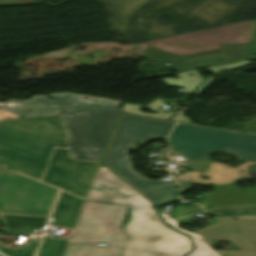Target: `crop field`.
<instances>
[{
  "label": "crop field",
  "mask_w": 256,
  "mask_h": 256,
  "mask_svg": "<svg viewBox=\"0 0 256 256\" xmlns=\"http://www.w3.org/2000/svg\"><path fill=\"white\" fill-rule=\"evenodd\" d=\"M87 200L136 207L123 227L130 240L122 256H183L191 249L186 236L160 223L148 200L103 166Z\"/></svg>",
  "instance_id": "1"
},
{
  "label": "crop field",
  "mask_w": 256,
  "mask_h": 256,
  "mask_svg": "<svg viewBox=\"0 0 256 256\" xmlns=\"http://www.w3.org/2000/svg\"><path fill=\"white\" fill-rule=\"evenodd\" d=\"M170 144L173 145L170 153L185 159L177 165L193 168L188 174L173 175L182 189L190 188L192 182L209 184L242 178L238 169L206 158L213 151L231 150L240 159L256 162V135L253 134L177 123L170 135ZM201 174L210 179H202Z\"/></svg>",
  "instance_id": "2"
},
{
  "label": "crop field",
  "mask_w": 256,
  "mask_h": 256,
  "mask_svg": "<svg viewBox=\"0 0 256 256\" xmlns=\"http://www.w3.org/2000/svg\"><path fill=\"white\" fill-rule=\"evenodd\" d=\"M54 146L66 148L62 116L0 122V164L41 181Z\"/></svg>",
  "instance_id": "3"
},
{
  "label": "crop field",
  "mask_w": 256,
  "mask_h": 256,
  "mask_svg": "<svg viewBox=\"0 0 256 256\" xmlns=\"http://www.w3.org/2000/svg\"><path fill=\"white\" fill-rule=\"evenodd\" d=\"M173 125L174 122L170 121L123 114L104 159L110 169L153 200L157 206L176 201L180 190H176V183L148 180L134 171L126 151L149 138L167 136Z\"/></svg>",
  "instance_id": "4"
},
{
  "label": "crop field",
  "mask_w": 256,
  "mask_h": 256,
  "mask_svg": "<svg viewBox=\"0 0 256 256\" xmlns=\"http://www.w3.org/2000/svg\"><path fill=\"white\" fill-rule=\"evenodd\" d=\"M127 207L86 201L70 243L106 241V246L70 245L67 256H120L126 235L119 229Z\"/></svg>",
  "instance_id": "5"
},
{
  "label": "crop field",
  "mask_w": 256,
  "mask_h": 256,
  "mask_svg": "<svg viewBox=\"0 0 256 256\" xmlns=\"http://www.w3.org/2000/svg\"><path fill=\"white\" fill-rule=\"evenodd\" d=\"M119 107L65 115L72 158L100 161Z\"/></svg>",
  "instance_id": "6"
},
{
  "label": "crop field",
  "mask_w": 256,
  "mask_h": 256,
  "mask_svg": "<svg viewBox=\"0 0 256 256\" xmlns=\"http://www.w3.org/2000/svg\"><path fill=\"white\" fill-rule=\"evenodd\" d=\"M57 191L0 167V213L49 217Z\"/></svg>",
  "instance_id": "7"
},
{
  "label": "crop field",
  "mask_w": 256,
  "mask_h": 256,
  "mask_svg": "<svg viewBox=\"0 0 256 256\" xmlns=\"http://www.w3.org/2000/svg\"><path fill=\"white\" fill-rule=\"evenodd\" d=\"M255 21L153 41L148 44L178 55L237 44H250Z\"/></svg>",
  "instance_id": "8"
},
{
  "label": "crop field",
  "mask_w": 256,
  "mask_h": 256,
  "mask_svg": "<svg viewBox=\"0 0 256 256\" xmlns=\"http://www.w3.org/2000/svg\"><path fill=\"white\" fill-rule=\"evenodd\" d=\"M99 166L70 159L68 150L55 147L42 181L86 199Z\"/></svg>",
  "instance_id": "9"
},
{
  "label": "crop field",
  "mask_w": 256,
  "mask_h": 256,
  "mask_svg": "<svg viewBox=\"0 0 256 256\" xmlns=\"http://www.w3.org/2000/svg\"><path fill=\"white\" fill-rule=\"evenodd\" d=\"M194 233L201 235L209 245L228 240L243 249L242 252L217 251L222 256H256V218L221 220L214 226Z\"/></svg>",
  "instance_id": "10"
},
{
  "label": "crop field",
  "mask_w": 256,
  "mask_h": 256,
  "mask_svg": "<svg viewBox=\"0 0 256 256\" xmlns=\"http://www.w3.org/2000/svg\"><path fill=\"white\" fill-rule=\"evenodd\" d=\"M249 45H237L221 49H213L183 56L174 55L152 47L146 48L145 57L156 62L165 64L177 71H186L215 64L245 59ZM190 64V67L186 65Z\"/></svg>",
  "instance_id": "11"
},
{
  "label": "crop field",
  "mask_w": 256,
  "mask_h": 256,
  "mask_svg": "<svg viewBox=\"0 0 256 256\" xmlns=\"http://www.w3.org/2000/svg\"><path fill=\"white\" fill-rule=\"evenodd\" d=\"M59 104L64 112L83 111L97 108L113 107L121 104L120 101L105 98L74 94L70 92L49 94ZM87 97V100H82ZM99 107H93L94 105Z\"/></svg>",
  "instance_id": "12"
},
{
  "label": "crop field",
  "mask_w": 256,
  "mask_h": 256,
  "mask_svg": "<svg viewBox=\"0 0 256 256\" xmlns=\"http://www.w3.org/2000/svg\"><path fill=\"white\" fill-rule=\"evenodd\" d=\"M7 105L9 107L7 111L16 113L22 117L60 112L59 107L51 99L43 95L33 96L30 100L26 101H7ZM28 109L33 112L26 111Z\"/></svg>",
  "instance_id": "13"
},
{
  "label": "crop field",
  "mask_w": 256,
  "mask_h": 256,
  "mask_svg": "<svg viewBox=\"0 0 256 256\" xmlns=\"http://www.w3.org/2000/svg\"><path fill=\"white\" fill-rule=\"evenodd\" d=\"M161 215L163 218H165V223L174 226L177 230H180L193 238L196 249L188 256H220L214 249L209 247V245L202 240L201 236L179 228L177 226L178 222L172 219L167 213L162 212Z\"/></svg>",
  "instance_id": "14"
},
{
  "label": "crop field",
  "mask_w": 256,
  "mask_h": 256,
  "mask_svg": "<svg viewBox=\"0 0 256 256\" xmlns=\"http://www.w3.org/2000/svg\"><path fill=\"white\" fill-rule=\"evenodd\" d=\"M187 73L193 74V78ZM179 79L165 78L162 81L167 86H182L187 93L194 89L204 79L197 70L177 74ZM193 91V90H192ZM188 95V94H187Z\"/></svg>",
  "instance_id": "15"
},
{
  "label": "crop field",
  "mask_w": 256,
  "mask_h": 256,
  "mask_svg": "<svg viewBox=\"0 0 256 256\" xmlns=\"http://www.w3.org/2000/svg\"><path fill=\"white\" fill-rule=\"evenodd\" d=\"M161 101H162L161 99L156 100V101L150 103L148 106H140V105L125 103L122 111L167 119L174 112H171L170 114H165V113L161 112L160 110L156 109V107H160L161 105L164 104V103H161ZM142 107L156 111L158 113L157 114H149V113L140 112V108H142Z\"/></svg>",
  "instance_id": "16"
},
{
  "label": "crop field",
  "mask_w": 256,
  "mask_h": 256,
  "mask_svg": "<svg viewBox=\"0 0 256 256\" xmlns=\"http://www.w3.org/2000/svg\"><path fill=\"white\" fill-rule=\"evenodd\" d=\"M249 62L250 61H242V62L227 64V65H222V66H217V67L206 68L204 70H212L213 72H217V71H221V70L237 67V66H240L242 64L249 63Z\"/></svg>",
  "instance_id": "17"
},
{
  "label": "crop field",
  "mask_w": 256,
  "mask_h": 256,
  "mask_svg": "<svg viewBox=\"0 0 256 256\" xmlns=\"http://www.w3.org/2000/svg\"><path fill=\"white\" fill-rule=\"evenodd\" d=\"M32 4L30 0H0V5Z\"/></svg>",
  "instance_id": "18"
},
{
  "label": "crop field",
  "mask_w": 256,
  "mask_h": 256,
  "mask_svg": "<svg viewBox=\"0 0 256 256\" xmlns=\"http://www.w3.org/2000/svg\"><path fill=\"white\" fill-rule=\"evenodd\" d=\"M14 117H20V116L10 113V112H7L3 109H0V120H3L5 118H14Z\"/></svg>",
  "instance_id": "19"
},
{
  "label": "crop field",
  "mask_w": 256,
  "mask_h": 256,
  "mask_svg": "<svg viewBox=\"0 0 256 256\" xmlns=\"http://www.w3.org/2000/svg\"><path fill=\"white\" fill-rule=\"evenodd\" d=\"M254 55H256V32L248 58H253Z\"/></svg>",
  "instance_id": "20"
},
{
  "label": "crop field",
  "mask_w": 256,
  "mask_h": 256,
  "mask_svg": "<svg viewBox=\"0 0 256 256\" xmlns=\"http://www.w3.org/2000/svg\"><path fill=\"white\" fill-rule=\"evenodd\" d=\"M211 79H212V78H208L207 81H206L203 85H201L197 90H195V91L193 92V94L198 93L202 88H204V87L209 83V81H210Z\"/></svg>",
  "instance_id": "21"
},
{
  "label": "crop field",
  "mask_w": 256,
  "mask_h": 256,
  "mask_svg": "<svg viewBox=\"0 0 256 256\" xmlns=\"http://www.w3.org/2000/svg\"><path fill=\"white\" fill-rule=\"evenodd\" d=\"M181 122H188V123H191L189 118L185 117V116H181L180 120Z\"/></svg>",
  "instance_id": "22"
},
{
  "label": "crop field",
  "mask_w": 256,
  "mask_h": 256,
  "mask_svg": "<svg viewBox=\"0 0 256 256\" xmlns=\"http://www.w3.org/2000/svg\"><path fill=\"white\" fill-rule=\"evenodd\" d=\"M181 112H182V111H178V112L176 113V116L173 117V118H171V119H173L174 121H176V119L179 117V115L181 114Z\"/></svg>",
  "instance_id": "23"
},
{
  "label": "crop field",
  "mask_w": 256,
  "mask_h": 256,
  "mask_svg": "<svg viewBox=\"0 0 256 256\" xmlns=\"http://www.w3.org/2000/svg\"><path fill=\"white\" fill-rule=\"evenodd\" d=\"M72 237V236H71ZM71 237H70V239H71Z\"/></svg>",
  "instance_id": "24"
},
{
  "label": "crop field",
  "mask_w": 256,
  "mask_h": 256,
  "mask_svg": "<svg viewBox=\"0 0 256 256\" xmlns=\"http://www.w3.org/2000/svg\"><path fill=\"white\" fill-rule=\"evenodd\" d=\"M1 256V255H0Z\"/></svg>",
  "instance_id": "25"
}]
</instances>
